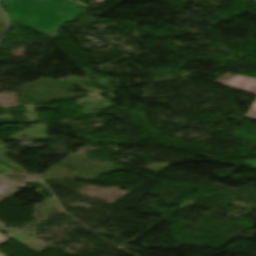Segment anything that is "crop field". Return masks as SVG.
I'll use <instances>...</instances> for the list:
<instances>
[{"label": "crop field", "instance_id": "crop-field-1", "mask_svg": "<svg viewBox=\"0 0 256 256\" xmlns=\"http://www.w3.org/2000/svg\"><path fill=\"white\" fill-rule=\"evenodd\" d=\"M9 20L48 35L80 15V8L62 0H7Z\"/></svg>", "mask_w": 256, "mask_h": 256}, {"label": "crop field", "instance_id": "crop-field-2", "mask_svg": "<svg viewBox=\"0 0 256 256\" xmlns=\"http://www.w3.org/2000/svg\"><path fill=\"white\" fill-rule=\"evenodd\" d=\"M215 82L241 91L256 94V79L253 78L226 73ZM246 118L256 119V101L247 113Z\"/></svg>", "mask_w": 256, "mask_h": 256}, {"label": "crop field", "instance_id": "crop-field-3", "mask_svg": "<svg viewBox=\"0 0 256 256\" xmlns=\"http://www.w3.org/2000/svg\"><path fill=\"white\" fill-rule=\"evenodd\" d=\"M6 241H8V239H6L4 236H2V235L0 234V244L3 243V242H6ZM0 256H5V255H3V254L0 253Z\"/></svg>", "mask_w": 256, "mask_h": 256}, {"label": "crop field", "instance_id": "crop-field-4", "mask_svg": "<svg viewBox=\"0 0 256 256\" xmlns=\"http://www.w3.org/2000/svg\"><path fill=\"white\" fill-rule=\"evenodd\" d=\"M248 163H250V164L256 166V160H254V161H248Z\"/></svg>", "mask_w": 256, "mask_h": 256}]
</instances>
